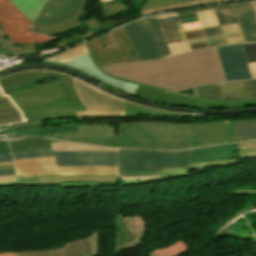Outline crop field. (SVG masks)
<instances>
[{
    "mask_svg": "<svg viewBox=\"0 0 256 256\" xmlns=\"http://www.w3.org/2000/svg\"><path fill=\"white\" fill-rule=\"evenodd\" d=\"M119 148L180 150L237 141L236 121L178 124L136 122L119 126L117 137L60 139Z\"/></svg>",
    "mask_w": 256,
    "mask_h": 256,
    "instance_id": "obj_1",
    "label": "crop field"
},
{
    "mask_svg": "<svg viewBox=\"0 0 256 256\" xmlns=\"http://www.w3.org/2000/svg\"><path fill=\"white\" fill-rule=\"evenodd\" d=\"M101 69L115 77L170 91L227 81L216 48L158 61L117 64Z\"/></svg>",
    "mask_w": 256,
    "mask_h": 256,
    "instance_id": "obj_2",
    "label": "crop field"
},
{
    "mask_svg": "<svg viewBox=\"0 0 256 256\" xmlns=\"http://www.w3.org/2000/svg\"><path fill=\"white\" fill-rule=\"evenodd\" d=\"M121 176L160 175L159 168L190 167L189 150L150 151L119 149Z\"/></svg>",
    "mask_w": 256,
    "mask_h": 256,
    "instance_id": "obj_3",
    "label": "crop field"
},
{
    "mask_svg": "<svg viewBox=\"0 0 256 256\" xmlns=\"http://www.w3.org/2000/svg\"><path fill=\"white\" fill-rule=\"evenodd\" d=\"M140 61L172 56L155 17L122 27Z\"/></svg>",
    "mask_w": 256,
    "mask_h": 256,
    "instance_id": "obj_4",
    "label": "crop field"
},
{
    "mask_svg": "<svg viewBox=\"0 0 256 256\" xmlns=\"http://www.w3.org/2000/svg\"><path fill=\"white\" fill-rule=\"evenodd\" d=\"M116 47L105 49L113 44L109 33H105L86 42L98 65L105 66L121 62L139 61L122 28L110 31Z\"/></svg>",
    "mask_w": 256,
    "mask_h": 256,
    "instance_id": "obj_5",
    "label": "crop field"
},
{
    "mask_svg": "<svg viewBox=\"0 0 256 256\" xmlns=\"http://www.w3.org/2000/svg\"><path fill=\"white\" fill-rule=\"evenodd\" d=\"M6 94L18 108L71 104L59 80L39 86L33 82Z\"/></svg>",
    "mask_w": 256,
    "mask_h": 256,
    "instance_id": "obj_6",
    "label": "crop field"
},
{
    "mask_svg": "<svg viewBox=\"0 0 256 256\" xmlns=\"http://www.w3.org/2000/svg\"><path fill=\"white\" fill-rule=\"evenodd\" d=\"M17 177L47 175H118V168L56 167L53 157L15 161Z\"/></svg>",
    "mask_w": 256,
    "mask_h": 256,
    "instance_id": "obj_7",
    "label": "crop field"
},
{
    "mask_svg": "<svg viewBox=\"0 0 256 256\" xmlns=\"http://www.w3.org/2000/svg\"><path fill=\"white\" fill-rule=\"evenodd\" d=\"M0 26L9 39L17 43H43L56 38L31 32L32 22L23 16L9 0H0Z\"/></svg>",
    "mask_w": 256,
    "mask_h": 256,
    "instance_id": "obj_8",
    "label": "crop field"
},
{
    "mask_svg": "<svg viewBox=\"0 0 256 256\" xmlns=\"http://www.w3.org/2000/svg\"><path fill=\"white\" fill-rule=\"evenodd\" d=\"M72 81L77 96L88 110L77 112L78 116H124L123 100L106 95L74 78Z\"/></svg>",
    "mask_w": 256,
    "mask_h": 256,
    "instance_id": "obj_9",
    "label": "crop field"
},
{
    "mask_svg": "<svg viewBox=\"0 0 256 256\" xmlns=\"http://www.w3.org/2000/svg\"><path fill=\"white\" fill-rule=\"evenodd\" d=\"M176 14L183 31L238 22L230 4L185 10Z\"/></svg>",
    "mask_w": 256,
    "mask_h": 256,
    "instance_id": "obj_10",
    "label": "crop field"
},
{
    "mask_svg": "<svg viewBox=\"0 0 256 256\" xmlns=\"http://www.w3.org/2000/svg\"><path fill=\"white\" fill-rule=\"evenodd\" d=\"M125 92L131 93L136 96H140L153 101L181 105L195 109H207V108H233V107H246L256 106V101L250 102H236V103H217L208 102L195 99H189L182 96H178L171 93H165L151 88L131 84L126 82Z\"/></svg>",
    "mask_w": 256,
    "mask_h": 256,
    "instance_id": "obj_11",
    "label": "crop field"
},
{
    "mask_svg": "<svg viewBox=\"0 0 256 256\" xmlns=\"http://www.w3.org/2000/svg\"><path fill=\"white\" fill-rule=\"evenodd\" d=\"M17 185L51 186L61 185L64 187H94L121 185L119 176H47L17 178Z\"/></svg>",
    "mask_w": 256,
    "mask_h": 256,
    "instance_id": "obj_12",
    "label": "crop field"
},
{
    "mask_svg": "<svg viewBox=\"0 0 256 256\" xmlns=\"http://www.w3.org/2000/svg\"><path fill=\"white\" fill-rule=\"evenodd\" d=\"M57 166L118 167L117 152H53Z\"/></svg>",
    "mask_w": 256,
    "mask_h": 256,
    "instance_id": "obj_13",
    "label": "crop field"
},
{
    "mask_svg": "<svg viewBox=\"0 0 256 256\" xmlns=\"http://www.w3.org/2000/svg\"><path fill=\"white\" fill-rule=\"evenodd\" d=\"M83 0H47L35 23L50 25L63 22L80 12Z\"/></svg>",
    "mask_w": 256,
    "mask_h": 256,
    "instance_id": "obj_14",
    "label": "crop field"
},
{
    "mask_svg": "<svg viewBox=\"0 0 256 256\" xmlns=\"http://www.w3.org/2000/svg\"><path fill=\"white\" fill-rule=\"evenodd\" d=\"M217 49L228 81L251 78L241 44Z\"/></svg>",
    "mask_w": 256,
    "mask_h": 256,
    "instance_id": "obj_15",
    "label": "crop field"
},
{
    "mask_svg": "<svg viewBox=\"0 0 256 256\" xmlns=\"http://www.w3.org/2000/svg\"><path fill=\"white\" fill-rule=\"evenodd\" d=\"M85 6H86V0H84V3H83L80 14L73 17L72 19L64 22V23L51 25V26H38V25L34 24L33 31H36V32H39V33H42V34L53 35L55 33L68 31L71 28H75V27H78L80 25L86 24L90 31L94 32L95 34H98V33H101V32H103V31H105L109 28H112L114 26H117L121 23H124V22L128 21L127 19H125L123 21H120V22H117L115 24L104 27L101 20L100 19L97 20L96 17L94 16V14H93L88 20L81 23L78 19L82 17Z\"/></svg>",
    "mask_w": 256,
    "mask_h": 256,
    "instance_id": "obj_16",
    "label": "crop field"
},
{
    "mask_svg": "<svg viewBox=\"0 0 256 256\" xmlns=\"http://www.w3.org/2000/svg\"><path fill=\"white\" fill-rule=\"evenodd\" d=\"M156 17L173 56L191 51L175 13Z\"/></svg>",
    "mask_w": 256,
    "mask_h": 256,
    "instance_id": "obj_17",
    "label": "crop field"
},
{
    "mask_svg": "<svg viewBox=\"0 0 256 256\" xmlns=\"http://www.w3.org/2000/svg\"><path fill=\"white\" fill-rule=\"evenodd\" d=\"M3 133L8 135L47 136L52 133L77 131L76 124H64L44 127L43 122L20 124L2 127Z\"/></svg>",
    "mask_w": 256,
    "mask_h": 256,
    "instance_id": "obj_18",
    "label": "crop field"
},
{
    "mask_svg": "<svg viewBox=\"0 0 256 256\" xmlns=\"http://www.w3.org/2000/svg\"><path fill=\"white\" fill-rule=\"evenodd\" d=\"M246 41H256V0L231 4Z\"/></svg>",
    "mask_w": 256,
    "mask_h": 256,
    "instance_id": "obj_19",
    "label": "crop field"
},
{
    "mask_svg": "<svg viewBox=\"0 0 256 256\" xmlns=\"http://www.w3.org/2000/svg\"><path fill=\"white\" fill-rule=\"evenodd\" d=\"M24 122L60 117H77L71 105L20 109Z\"/></svg>",
    "mask_w": 256,
    "mask_h": 256,
    "instance_id": "obj_20",
    "label": "crop field"
},
{
    "mask_svg": "<svg viewBox=\"0 0 256 256\" xmlns=\"http://www.w3.org/2000/svg\"><path fill=\"white\" fill-rule=\"evenodd\" d=\"M43 61L58 63V64L69 66V67L74 68V69H78V70L90 75L91 77H94V78H96V79H98L102 82L109 83V84H111V85H113V86H115V87L124 91L125 82L108 78L104 74H102L96 68L95 64L93 63L89 52L84 54L83 56L67 63V64L61 63V62L49 61V60H43Z\"/></svg>",
    "mask_w": 256,
    "mask_h": 256,
    "instance_id": "obj_21",
    "label": "crop field"
},
{
    "mask_svg": "<svg viewBox=\"0 0 256 256\" xmlns=\"http://www.w3.org/2000/svg\"><path fill=\"white\" fill-rule=\"evenodd\" d=\"M236 150V143L191 150V163L238 157V154L232 153Z\"/></svg>",
    "mask_w": 256,
    "mask_h": 256,
    "instance_id": "obj_22",
    "label": "crop field"
},
{
    "mask_svg": "<svg viewBox=\"0 0 256 256\" xmlns=\"http://www.w3.org/2000/svg\"><path fill=\"white\" fill-rule=\"evenodd\" d=\"M223 100L256 99V80L221 84Z\"/></svg>",
    "mask_w": 256,
    "mask_h": 256,
    "instance_id": "obj_23",
    "label": "crop field"
},
{
    "mask_svg": "<svg viewBox=\"0 0 256 256\" xmlns=\"http://www.w3.org/2000/svg\"><path fill=\"white\" fill-rule=\"evenodd\" d=\"M54 75L56 77L57 73L41 72V71H32L25 72L10 77L0 79V98L6 97V91L15 89L17 87L26 85L32 81H37L39 79Z\"/></svg>",
    "mask_w": 256,
    "mask_h": 256,
    "instance_id": "obj_24",
    "label": "crop field"
},
{
    "mask_svg": "<svg viewBox=\"0 0 256 256\" xmlns=\"http://www.w3.org/2000/svg\"><path fill=\"white\" fill-rule=\"evenodd\" d=\"M64 246L66 256H99L98 231L88 238L74 241Z\"/></svg>",
    "mask_w": 256,
    "mask_h": 256,
    "instance_id": "obj_25",
    "label": "crop field"
},
{
    "mask_svg": "<svg viewBox=\"0 0 256 256\" xmlns=\"http://www.w3.org/2000/svg\"><path fill=\"white\" fill-rule=\"evenodd\" d=\"M239 163L238 158L218 160L211 162H199L191 164L192 168H168L161 169V180L170 179L174 177L187 176L190 175L189 171L206 169L212 166H230Z\"/></svg>",
    "mask_w": 256,
    "mask_h": 256,
    "instance_id": "obj_26",
    "label": "crop field"
},
{
    "mask_svg": "<svg viewBox=\"0 0 256 256\" xmlns=\"http://www.w3.org/2000/svg\"><path fill=\"white\" fill-rule=\"evenodd\" d=\"M78 132L73 133H63V134H53L48 135L51 138H70V137H86V136H115L113 125H83L77 124Z\"/></svg>",
    "mask_w": 256,
    "mask_h": 256,
    "instance_id": "obj_27",
    "label": "crop field"
},
{
    "mask_svg": "<svg viewBox=\"0 0 256 256\" xmlns=\"http://www.w3.org/2000/svg\"><path fill=\"white\" fill-rule=\"evenodd\" d=\"M126 115H154L162 117H203L209 115H190V114H176L161 110H155L139 105H135L125 101V116Z\"/></svg>",
    "mask_w": 256,
    "mask_h": 256,
    "instance_id": "obj_28",
    "label": "crop field"
},
{
    "mask_svg": "<svg viewBox=\"0 0 256 256\" xmlns=\"http://www.w3.org/2000/svg\"><path fill=\"white\" fill-rule=\"evenodd\" d=\"M238 31H242V30L239 24L237 23V24H231V25H225V26L222 25L217 27L187 31V32H184V34L187 39H194V38L226 34V33L238 32Z\"/></svg>",
    "mask_w": 256,
    "mask_h": 256,
    "instance_id": "obj_29",
    "label": "crop field"
},
{
    "mask_svg": "<svg viewBox=\"0 0 256 256\" xmlns=\"http://www.w3.org/2000/svg\"><path fill=\"white\" fill-rule=\"evenodd\" d=\"M22 121L20 112L8 98L0 99V124Z\"/></svg>",
    "mask_w": 256,
    "mask_h": 256,
    "instance_id": "obj_30",
    "label": "crop field"
},
{
    "mask_svg": "<svg viewBox=\"0 0 256 256\" xmlns=\"http://www.w3.org/2000/svg\"><path fill=\"white\" fill-rule=\"evenodd\" d=\"M0 46L17 53L19 56H32L35 54L34 44L22 45L11 42L0 28Z\"/></svg>",
    "mask_w": 256,
    "mask_h": 256,
    "instance_id": "obj_31",
    "label": "crop field"
},
{
    "mask_svg": "<svg viewBox=\"0 0 256 256\" xmlns=\"http://www.w3.org/2000/svg\"><path fill=\"white\" fill-rule=\"evenodd\" d=\"M23 15L29 18L32 22L35 15L39 11L43 0H10Z\"/></svg>",
    "mask_w": 256,
    "mask_h": 256,
    "instance_id": "obj_32",
    "label": "crop field"
},
{
    "mask_svg": "<svg viewBox=\"0 0 256 256\" xmlns=\"http://www.w3.org/2000/svg\"><path fill=\"white\" fill-rule=\"evenodd\" d=\"M53 151H117L113 148L88 146L66 142L50 143Z\"/></svg>",
    "mask_w": 256,
    "mask_h": 256,
    "instance_id": "obj_33",
    "label": "crop field"
},
{
    "mask_svg": "<svg viewBox=\"0 0 256 256\" xmlns=\"http://www.w3.org/2000/svg\"><path fill=\"white\" fill-rule=\"evenodd\" d=\"M238 141L256 140V120L237 121Z\"/></svg>",
    "mask_w": 256,
    "mask_h": 256,
    "instance_id": "obj_34",
    "label": "crop field"
},
{
    "mask_svg": "<svg viewBox=\"0 0 256 256\" xmlns=\"http://www.w3.org/2000/svg\"><path fill=\"white\" fill-rule=\"evenodd\" d=\"M86 52H88V50H87L85 44H80V45H77L69 50H66L64 52H61L59 54H56V55H53L51 57L44 58V59L61 61V62L67 63V62L83 55Z\"/></svg>",
    "mask_w": 256,
    "mask_h": 256,
    "instance_id": "obj_35",
    "label": "crop field"
},
{
    "mask_svg": "<svg viewBox=\"0 0 256 256\" xmlns=\"http://www.w3.org/2000/svg\"><path fill=\"white\" fill-rule=\"evenodd\" d=\"M58 75L60 77L61 84H62L63 88L65 89V91L72 103L74 110L75 111L86 110V108L82 105V103L79 101V99L77 98V96L74 92L71 78L68 76H65V75H61V74H58Z\"/></svg>",
    "mask_w": 256,
    "mask_h": 256,
    "instance_id": "obj_36",
    "label": "crop field"
},
{
    "mask_svg": "<svg viewBox=\"0 0 256 256\" xmlns=\"http://www.w3.org/2000/svg\"><path fill=\"white\" fill-rule=\"evenodd\" d=\"M104 18H109L129 9L121 0H99Z\"/></svg>",
    "mask_w": 256,
    "mask_h": 256,
    "instance_id": "obj_37",
    "label": "crop field"
},
{
    "mask_svg": "<svg viewBox=\"0 0 256 256\" xmlns=\"http://www.w3.org/2000/svg\"><path fill=\"white\" fill-rule=\"evenodd\" d=\"M193 90L197 97L222 99L220 84L195 87Z\"/></svg>",
    "mask_w": 256,
    "mask_h": 256,
    "instance_id": "obj_38",
    "label": "crop field"
},
{
    "mask_svg": "<svg viewBox=\"0 0 256 256\" xmlns=\"http://www.w3.org/2000/svg\"><path fill=\"white\" fill-rule=\"evenodd\" d=\"M245 42L246 41L244 37H237V38H228V39H222V40L209 41V42L193 44L189 46L193 51L196 49L216 47V46H221L225 44H239V43H245Z\"/></svg>",
    "mask_w": 256,
    "mask_h": 256,
    "instance_id": "obj_39",
    "label": "crop field"
},
{
    "mask_svg": "<svg viewBox=\"0 0 256 256\" xmlns=\"http://www.w3.org/2000/svg\"><path fill=\"white\" fill-rule=\"evenodd\" d=\"M15 160L53 156L51 149L13 153Z\"/></svg>",
    "mask_w": 256,
    "mask_h": 256,
    "instance_id": "obj_40",
    "label": "crop field"
},
{
    "mask_svg": "<svg viewBox=\"0 0 256 256\" xmlns=\"http://www.w3.org/2000/svg\"><path fill=\"white\" fill-rule=\"evenodd\" d=\"M123 186L147 184L160 180V176H147V177H121Z\"/></svg>",
    "mask_w": 256,
    "mask_h": 256,
    "instance_id": "obj_41",
    "label": "crop field"
},
{
    "mask_svg": "<svg viewBox=\"0 0 256 256\" xmlns=\"http://www.w3.org/2000/svg\"><path fill=\"white\" fill-rule=\"evenodd\" d=\"M16 256H65L64 246L50 251L17 252Z\"/></svg>",
    "mask_w": 256,
    "mask_h": 256,
    "instance_id": "obj_42",
    "label": "crop field"
},
{
    "mask_svg": "<svg viewBox=\"0 0 256 256\" xmlns=\"http://www.w3.org/2000/svg\"><path fill=\"white\" fill-rule=\"evenodd\" d=\"M192 2H187V3H181V4H175V5H169V6H163L160 8H155V9H150L146 11H141L142 15H150L162 11H167V10H173V9H178V8H186V7H192Z\"/></svg>",
    "mask_w": 256,
    "mask_h": 256,
    "instance_id": "obj_43",
    "label": "crop field"
},
{
    "mask_svg": "<svg viewBox=\"0 0 256 256\" xmlns=\"http://www.w3.org/2000/svg\"><path fill=\"white\" fill-rule=\"evenodd\" d=\"M147 3L143 4L140 10L155 8L163 5L186 2L190 0H146Z\"/></svg>",
    "mask_w": 256,
    "mask_h": 256,
    "instance_id": "obj_44",
    "label": "crop field"
},
{
    "mask_svg": "<svg viewBox=\"0 0 256 256\" xmlns=\"http://www.w3.org/2000/svg\"><path fill=\"white\" fill-rule=\"evenodd\" d=\"M247 63L256 62V43L242 44Z\"/></svg>",
    "mask_w": 256,
    "mask_h": 256,
    "instance_id": "obj_45",
    "label": "crop field"
},
{
    "mask_svg": "<svg viewBox=\"0 0 256 256\" xmlns=\"http://www.w3.org/2000/svg\"><path fill=\"white\" fill-rule=\"evenodd\" d=\"M83 40L82 37L78 34H74V35H70L58 42H55L54 43V46L58 47L59 49L63 48V47H66L68 45H71L73 43H76V42H79Z\"/></svg>",
    "mask_w": 256,
    "mask_h": 256,
    "instance_id": "obj_46",
    "label": "crop field"
},
{
    "mask_svg": "<svg viewBox=\"0 0 256 256\" xmlns=\"http://www.w3.org/2000/svg\"><path fill=\"white\" fill-rule=\"evenodd\" d=\"M237 36H243V33L238 32V33L219 35V36H213V37H207V38H200V39H194V40H187V41L189 44H192V43H199V42H204V41H209V40L228 38V37H237Z\"/></svg>",
    "mask_w": 256,
    "mask_h": 256,
    "instance_id": "obj_47",
    "label": "crop field"
},
{
    "mask_svg": "<svg viewBox=\"0 0 256 256\" xmlns=\"http://www.w3.org/2000/svg\"><path fill=\"white\" fill-rule=\"evenodd\" d=\"M256 157V148L239 151V158Z\"/></svg>",
    "mask_w": 256,
    "mask_h": 256,
    "instance_id": "obj_48",
    "label": "crop field"
},
{
    "mask_svg": "<svg viewBox=\"0 0 256 256\" xmlns=\"http://www.w3.org/2000/svg\"><path fill=\"white\" fill-rule=\"evenodd\" d=\"M227 1H233V0H194L192 2L194 6H197V5H203V4L227 2Z\"/></svg>",
    "mask_w": 256,
    "mask_h": 256,
    "instance_id": "obj_49",
    "label": "crop field"
},
{
    "mask_svg": "<svg viewBox=\"0 0 256 256\" xmlns=\"http://www.w3.org/2000/svg\"><path fill=\"white\" fill-rule=\"evenodd\" d=\"M9 183H15V175L0 177V186L10 185Z\"/></svg>",
    "mask_w": 256,
    "mask_h": 256,
    "instance_id": "obj_50",
    "label": "crop field"
},
{
    "mask_svg": "<svg viewBox=\"0 0 256 256\" xmlns=\"http://www.w3.org/2000/svg\"><path fill=\"white\" fill-rule=\"evenodd\" d=\"M238 148L240 149H245V148H254L256 147V141L253 142H243V143H237Z\"/></svg>",
    "mask_w": 256,
    "mask_h": 256,
    "instance_id": "obj_51",
    "label": "crop field"
},
{
    "mask_svg": "<svg viewBox=\"0 0 256 256\" xmlns=\"http://www.w3.org/2000/svg\"><path fill=\"white\" fill-rule=\"evenodd\" d=\"M251 77L256 78V63L247 64Z\"/></svg>",
    "mask_w": 256,
    "mask_h": 256,
    "instance_id": "obj_52",
    "label": "crop field"
},
{
    "mask_svg": "<svg viewBox=\"0 0 256 256\" xmlns=\"http://www.w3.org/2000/svg\"><path fill=\"white\" fill-rule=\"evenodd\" d=\"M4 152H10L8 144L6 141H1L0 142V153H4Z\"/></svg>",
    "mask_w": 256,
    "mask_h": 256,
    "instance_id": "obj_53",
    "label": "crop field"
},
{
    "mask_svg": "<svg viewBox=\"0 0 256 256\" xmlns=\"http://www.w3.org/2000/svg\"><path fill=\"white\" fill-rule=\"evenodd\" d=\"M13 161L10 153L0 154V162Z\"/></svg>",
    "mask_w": 256,
    "mask_h": 256,
    "instance_id": "obj_54",
    "label": "crop field"
},
{
    "mask_svg": "<svg viewBox=\"0 0 256 256\" xmlns=\"http://www.w3.org/2000/svg\"><path fill=\"white\" fill-rule=\"evenodd\" d=\"M15 174L14 173V170H4V171H0V176L1 175H13Z\"/></svg>",
    "mask_w": 256,
    "mask_h": 256,
    "instance_id": "obj_55",
    "label": "crop field"
},
{
    "mask_svg": "<svg viewBox=\"0 0 256 256\" xmlns=\"http://www.w3.org/2000/svg\"><path fill=\"white\" fill-rule=\"evenodd\" d=\"M178 93H183V94L194 96L192 88L188 89V90L179 91Z\"/></svg>",
    "mask_w": 256,
    "mask_h": 256,
    "instance_id": "obj_56",
    "label": "crop field"
},
{
    "mask_svg": "<svg viewBox=\"0 0 256 256\" xmlns=\"http://www.w3.org/2000/svg\"><path fill=\"white\" fill-rule=\"evenodd\" d=\"M80 35L83 37V39H86V38L92 36L93 34H91L89 32H83V33H80Z\"/></svg>",
    "mask_w": 256,
    "mask_h": 256,
    "instance_id": "obj_57",
    "label": "crop field"
},
{
    "mask_svg": "<svg viewBox=\"0 0 256 256\" xmlns=\"http://www.w3.org/2000/svg\"><path fill=\"white\" fill-rule=\"evenodd\" d=\"M3 169H14V165L0 167V170H3Z\"/></svg>",
    "mask_w": 256,
    "mask_h": 256,
    "instance_id": "obj_58",
    "label": "crop field"
},
{
    "mask_svg": "<svg viewBox=\"0 0 256 256\" xmlns=\"http://www.w3.org/2000/svg\"><path fill=\"white\" fill-rule=\"evenodd\" d=\"M3 256H15L14 253H1Z\"/></svg>",
    "mask_w": 256,
    "mask_h": 256,
    "instance_id": "obj_59",
    "label": "crop field"
},
{
    "mask_svg": "<svg viewBox=\"0 0 256 256\" xmlns=\"http://www.w3.org/2000/svg\"><path fill=\"white\" fill-rule=\"evenodd\" d=\"M9 164H13V162H3V163H0V166H2V165H9Z\"/></svg>",
    "mask_w": 256,
    "mask_h": 256,
    "instance_id": "obj_60",
    "label": "crop field"
},
{
    "mask_svg": "<svg viewBox=\"0 0 256 256\" xmlns=\"http://www.w3.org/2000/svg\"><path fill=\"white\" fill-rule=\"evenodd\" d=\"M0 256H2V255H0Z\"/></svg>",
    "mask_w": 256,
    "mask_h": 256,
    "instance_id": "obj_61",
    "label": "crop field"
}]
</instances>
